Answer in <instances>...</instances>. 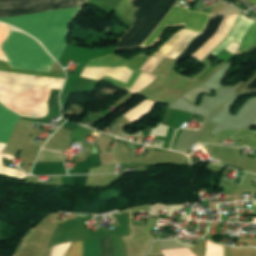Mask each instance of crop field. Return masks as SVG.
I'll use <instances>...</instances> for the list:
<instances>
[{
    "mask_svg": "<svg viewBox=\"0 0 256 256\" xmlns=\"http://www.w3.org/2000/svg\"><path fill=\"white\" fill-rule=\"evenodd\" d=\"M85 2L86 0H0V19L78 8L83 7ZM79 9L0 21L10 23L36 37L58 61L67 42L66 30L69 22Z\"/></svg>",
    "mask_w": 256,
    "mask_h": 256,
    "instance_id": "8a807250",
    "label": "crop field"
},
{
    "mask_svg": "<svg viewBox=\"0 0 256 256\" xmlns=\"http://www.w3.org/2000/svg\"><path fill=\"white\" fill-rule=\"evenodd\" d=\"M177 0H132L130 5L135 9L134 24L122 38L117 48L143 47L155 31L167 12ZM210 14L197 11H187L186 8L174 6L160 27L153 34L146 46L158 41V36L168 25H184L185 28L201 32Z\"/></svg>",
    "mask_w": 256,
    "mask_h": 256,
    "instance_id": "ac0d7876",
    "label": "crop field"
},
{
    "mask_svg": "<svg viewBox=\"0 0 256 256\" xmlns=\"http://www.w3.org/2000/svg\"><path fill=\"white\" fill-rule=\"evenodd\" d=\"M1 49L14 68L50 72L54 62L39 43L19 32H11Z\"/></svg>",
    "mask_w": 256,
    "mask_h": 256,
    "instance_id": "34b2d1b8",
    "label": "crop field"
},
{
    "mask_svg": "<svg viewBox=\"0 0 256 256\" xmlns=\"http://www.w3.org/2000/svg\"><path fill=\"white\" fill-rule=\"evenodd\" d=\"M149 56L145 55V54H140L135 56L134 58L127 60L124 58H120L115 56V54L106 56L104 58L101 59H95V60H90L89 63L86 66H91V67H113V66H120V65H124L132 70H134L135 72H133L129 82L127 85L118 82L114 79H111L109 77L106 76L105 81L114 84L122 89H125L127 91L130 90V88L133 86V84L135 83V81L138 79V77L141 75L142 71H140L139 69L141 68V66L144 64V62L148 59Z\"/></svg>",
    "mask_w": 256,
    "mask_h": 256,
    "instance_id": "412701ff",
    "label": "crop field"
},
{
    "mask_svg": "<svg viewBox=\"0 0 256 256\" xmlns=\"http://www.w3.org/2000/svg\"><path fill=\"white\" fill-rule=\"evenodd\" d=\"M132 72H133L132 70H130L124 66L115 67V68L85 67L81 76L100 81L105 75H108L116 80H119V81L127 84Z\"/></svg>",
    "mask_w": 256,
    "mask_h": 256,
    "instance_id": "f4fd0767",
    "label": "crop field"
},
{
    "mask_svg": "<svg viewBox=\"0 0 256 256\" xmlns=\"http://www.w3.org/2000/svg\"><path fill=\"white\" fill-rule=\"evenodd\" d=\"M222 15L218 14H212L205 30L201 35H199L197 38H195L188 49L184 51L176 60L175 62L179 63L183 59H185L187 56L191 55L193 56L196 51L206 42V40L214 33V31L217 29L221 19Z\"/></svg>",
    "mask_w": 256,
    "mask_h": 256,
    "instance_id": "dd49c442",
    "label": "crop field"
},
{
    "mask_svg": "<svg viewBox=\"0 0 256 256\" xmlns=\"http://www.w3.org/2000/svg\"><path fill=\"white\" fill-rule=\"evenodd\" d=\"M21 118L0 104V143H7L15 123Z\"/></svg>",
    "mask_w": 256,
    "mask_h": 256,
    "instance_id": "e52e79f7",
    "label": "crop field"
},
{
    "mask_svg": "<svg viewBox=\"0 0 256 256\" xmlns=\"http://www.w3.org/2000/svg\"><path fill=\"white\" fill-rule=\"evenodd\" d=\"M255 21L249 20L241 15L238 22L236 23L231 35L213 52L214 54L222 50L229 42L233 39L241 43L245 38Z\"/></svg>",
    "mask_w": 256,
    "mask_h": 256,
    "instance_id": "d8731c3e",
    "label": "crop field"
},
{
    "mask_svg": "<svg viewBox=\"0 0 256 256\" xmlns=\"http://www.w3.org/2000/svg\"><path fill=\"white\" fill-rule=\"evenodd\" d=\"M100 256H113L110 238L98 239ZM65 256H83L82 241L73 242Z\"/></svg>",
    "mask_w": 256,
    "mask_h": 256,
    "instance_id": "5a996713",
    "label": "crop field"
},
{
    "mask_svg": "<svg viewBox=\"0 0 256 256\" xmlns=\"http://www.w3.org/2000/svg\"><path fill=\"white\" fill-rule=\"evenodd\" d=\"M0 71H4V72H8V73H14V74H23V75H32V76H42V77L65 79V73L64 72L51 71V73H46V72L14 69V68H9L8 62L3 61V60H0Z\"/></svg>",
    "mask_w": 256,
    "mask_h": 256,
    "instance_id": "3316defc",
    "label": "crop field"
},
{
    "mask_svg": "<svg viewBox=\"0 0 256 256\" xmlns=\"http://www.w3.org/2000/svg\"><path fill=\"white\" fill-rule=\"evenodd\" d=\"M254 49H256V25L251 29L243 41L238 54L243 52H250Z\"/></svg>",
    "mask_w": 256,
    "mask_h": 256,
    "instance_id": "28ad6ade",
    "label": "crop field"
},
{
    "mask_svg": "<svg viewBox=\"0 0 256 256\" xmlns=\"http://www.w3.org/2000/svg\"><path fill=\"white\" fill-rule=\"evenodd\" d=\"M4 146H5V144H0V174L24 179L26 174L24 172H22L21 170H16V169H12V168L3 166L2 160H1V153L4 149Z\"/></svg>",
    "mask_w": 256,
    "mask_h": 256,
    "instance_id": "d1516ede",
    "label": "crop field"
},
{
    "mask_svg": "<svg viewBox=\"0 0 256 256\" xmlns=\"http://www.w3.org/2000/svg\"><path fill=\"white\" fill-rule=\"evenodd\" d=\"M247 88L256 90V77L249 83Z\"/></svg>",
    "mask_w": 256,
    "mask_h": 256,
    "instance_id": "22f410ed",
    "label": "crop field"
},
{
    "mask_svg": "<svg viewBox=\"0 0 256 256\" xmlns=\"http://www.w3.org/2000/svg\"><path fill=\"white\" fill-rule=\"evenodd\" d=\"M248 1L253 2V3H256V0H248Z\"/></svg>",
    "mask_w": 256,
    "mask_h": 256,
    "instance_id": "cbeb9de0",
    "label": "crop field"
},
{
    "mask_svg": "<svg viewBox=\"0 0 256 256\" xmlns=\"http://www.w3.org/2000/svg\"><path fill=\"white\" fill-rule=\"evenodd\" d=\"M254 210H255V213H256V206H254Z\"/></svg>",
    "mask_w": 256,
    "mask_h": 256,
    "instance_id": "5142ce71",
    "label": "crop field"
}]
</instances>
